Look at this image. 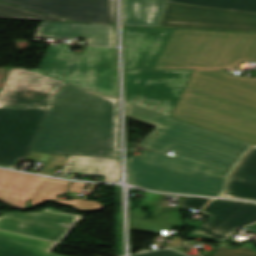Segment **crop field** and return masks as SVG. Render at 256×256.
<instances>
[{"label": "crop field", "mask_w": 256, "mask_h": 256, "mask_svg": "<svg viewBox=\"0 0 256 256\" xmlns=\"http://www.w3.org/2000/svg\"><path fill=\"white\" fill-rule=\"evenodd\" d=\"M256 62V34L175 30L155 69H194L171 118L256 145V78L233 76Z\"/></svg>", "instance_id": "crop-field-1"}, {"label": "crop field", "mask_w": 256, "mask_h": 256, "mask_svg": "<svg viewBox=\"0 0 256 256\" xmlns=\"http://www.w3.org/2000/svg\"><path fill=\"white\" fill-rule=\"evenodd\" d=\"M126 117L156 127L130 156L128 183L155 191L223 197L229 174L252 145L126 103Z\"/></svg>", "instance_id": "crop-field-2"}, {"label": "crop field", "mask_w": 256, "mask_h": 256, "mask_svg": "<svg viewBox=\"0 0 256 256\" xmlns=\"http://www.w3.org/2000/svg\"><path fill=\"white\" fill-rule=\"evenodd\" d=\"M30 152L119 158L117 100L64 83Z\"/></svg>", "instance_id": "crop-field-3"}, {"label": "crop field", "mask_w": 256, "mask_h": 256, "mask_svg": "<svg viewBox=\"0 0 256 256\" xmlns=\"http://www.w3.org/2000/svg\"><path fill=\"white\" fill-rule=\"evenodd\" d=\"M174 30L124 27L127 103L170 116L192 70H153Z\"/></svg>", "instance_id": "crop-field-4"}, {"label": "crop field", "mask_w": 256, "mask_h": 256, "mask_svg": "<svg viewBox=\"0 0 256 256\" xmlns=\"http://www.w3.org/2000/svg\"><path fill=\"white\" fill-rule=\"evenodd\" d=\"M68 50L67 44L50 45L38 69L29 71L117 99L115 48Z\"/></svg>", "instance_id": "crop-field-5"}, {"label": "crop field", "mask_w": 256, "mask_h": 256, "mask_svg": "<svg viewBox=\"0 0 256 256\" xmlns=\"http://www.w3.org/2000/svg\"><path fill=\"white\" fill-rule=\"evenodd\" d=\"M50 109L0 107V166L26 160Z\"/></svg>", "instance_id": "crop-field-6"}, {"label": "crop field", "mask_w": 256, "mask_h": 256, "mask_svg": "<svg viewBox=\"0 0 256 256\" xmlns=\"http://www.w3.org/2000/svg\"><path fill=\"white\" fill-rule=\"evenodd\" d=\"M158 27L256 32V14L167 2Z\"/></svg>", "instance_id": "crop-field-7"}, {"label": "crop field", "mask_w": 256, "mask_h": 256, "mask_svg": "<svg viewBox=\"0 0 256 256\" xmlns=\"http://www.w3.org/2000/svg\"><path fill=\"white\" fill-rule=\"evenodd\" d=\"M63 83L23 69H11L0 106L51 108Z\"/></svg>", "instance_id": "crop-field-8"}, {"label": "crop field", "mask_w": 256, "mask_h": 256, "mask_svg": "<svg viewBox=\"0 0 256 256\" xmlns=\"http://www.w3.org/2000/svg\"><path fill=\"white\" fill-rule=\"evenodd\" d=\"M82 217L52 208L34 213L10 212L0 216V229L60 242Z\"/></svg>", "instance_id": "crop-field-9"}, {"label": "crop field", "mask_w": 256, "mask_h": 256, "mask_svg": "<svg viewBox=\"0 0 256 256\" xmlns=\"http://www.w3.org/2000/svg\"><path fill=\"white\" fill-rule=\"evenodd\" d=\"M19 7L90 23L115 24L114 0H0Z\"/></svg>", "instance_id": "crop-field-10"}, {"label": "crop field", "mask_w": 256, "mask_h": 256, "mask_svg": "<svg viewBox=\"0 0 256 256\" xmlns=\"http://www.w3.org/2000/svg\"><path fill=\"white\" fill-rule=\"evenodd\" d=\"M199 214L211 217L193 234L226 240L244 225L256 221V203L215 199Z\"/></svg>", "instance_id": "crop-field-11"}, {"label": "crop field", "mask_w": 256, "mask_h": 256, "mask_svg": "<svg viewBox=\"0 0 256 256\" xmlns=\"http://www.w3.org/2000/svg\"><path fill=\"white\" fill-rule=\"evenodd\" d=\"M34 37L85 38L88 45L115 46L114 26L41 22Z\"/></svg>", "instance_id": "crop-field-12"}, {"label": "crop field", "mask_w": 256, "mask_h": 256, "mask_svg": "<svg viewBox=\"0 0 256 256\" xmlns=\"http://www.w3.org/2000/svg\"><path fill=\"white\" fill-rule=\"evenodd\" d=\"M224 197L256 200V146L231 173Z\"/></svg>", "instance_id": "crop-field-13"}, {"label": "crop field", "mask_w": 256, "mask_h": 256, "mask_svg": "<svg viewBox=\"0 0 256 256\" xmlns=\"http://www.w3.org/2000/svg\"><path fill=\"white\" fill-rule=\"evenodd\" d=\"M70 172L105 176L103 181H119V159L69 156L59 177L68 178Z\"/></svg>", "instance_id": "crop-field-14"}, {"label": "crop field", "mask_w": 256, "mask_h": 256, "mask_svg": "<svg viewBox=\"0 0 256 256\" xmlns=\"http://www.w3.org/2000/svg\"><path fill=\"white\" fill-rule=\"evenodd\" d=\"M166 0H122L124 25L157 27Z\"/></svg>", "instance_id": "crop-field-15"}, {"label": "crop field", "mask_w": 256, "mask_h": 256, "mask_svg": "<svg viewBox=\"0 0 256 256\" xmlns=\"http://www.w3.org/2000/svg\"><path fill=\"white\" fill-rule=\"evenodd\" d=\"M57 244L0 232V256H62L49 252Z\"/></svg>", "instance_id": "crop-field-16"}, {"label": "crop field", "mask_w": 256, "mask_h": 256, "mask_svg": "<svg viewBox=\"0 0 256 256\" xmlns=\"http://www.w3.org/2000/svg\"><path fill=\"white\" fill-rule=\"evenodd\" d=\"M68 186L69 182L67 181L43 178L34 195L32 196L30 200L31 204L29 206L37 205L48 199L56 200L61 204L70 205L79 211H93L103 206L101 203L96 201L78 199H74L72 201H63L56 199L57 195L66 192Z\"/></svg>", "instance_id": "crop-field-17"}, {"label": "crop field", "mask_w": 256, "mask_h": 256, "mask_svg": "<svg viewBox=\"0 0 256 256\" xmlns=\"http://www.w3.org/2000/svg\"><path fill=\"white\" fill-rule=\"evenodd\" d=\"M41 177L0 170V195L29 201Z\"/></svg>", "instance_id": "crop-field-18"}, {"label": "crop field", "mask_w": 256, "mask_h": 256, "mask_svg": "<svg viewBox=\"0 0 256 256\" xmlns=\"http://www.w3.org/2000/svg\"><path fill=\"white\" fill-rule=\"evenodd\" d=\"M170 2L256 13V0H167Z\"/></svg>", "instance_id": "crop-field-19"}, {"label": "crop field", "mask_w": 256, "mask_h": 256, "mask_svg": "<svg viewBox=\"0 0 256 256\" xmlns=\"http://www.w3.org/2000/svg\"><path fill=\"white\" fill-rule=\"evenodd\" d=\"M0 18L7 19H27V20H48V21H68L41 13L29 11L15 6L0 3ZM72 22V21H68Z\"/></svg>", "instance_id": "crop-field-20"}, {"label": "crop field", "mask_w": 256, "mask_h": 256, "mask_svg": "<svg viewBox=\"0 0 256 256\" xmlns=\"http://www.w3.org/2000/svg\"><path fill=\"white\" fill-rule=\"evenodd\" d=\"M246 244L239 249L232 250L227 248L225 243H220L212 256H256V253L250 250L252 243H248L250 244L249 246Z\"/></svg>", "instance_id": "crop-field-21"}, {"label": "crop field", "mask_w": 256, "mask_h": 256, "mask_svg": "<svg viewBox=\"0 0 256 256\" xmlns=\"http://www.w3.org/2000/svg\"><path fill=\"white\" fill-rule=\"evenodd\" d=\"M210 199L206 198H194L187 197L186 200L181 204L182 208H192L199 210L204 204H206Z\"/></svg>", "instance_id": "crop-field-22"}, {"label": "crop field", "mask_w": 256, "mask_h": 256, "mask_svg": "<svg viewBox=\"0 0 256 256\" xmlns=\"http://www.w3.org/2000/svg\"><path fill=\"white\" fill-rule=\"evenodd\" d=\"M133 256H182V255H180L172 250L166 249V250H162V251L138 254V255H133Z\"/></svg>", "instance_id": "crop-field-23"}, {"label": "crop field", "mask_w": 256, "mask_h": 256, "mask_svg": "<svg viewBox=\"0 0 256 256\" xmlns=\"http://www.w3.org/2000/svg\"><path fill=\"white\" fill-rule=\"evenodd\" d=\"M0 200L9 204V205L16 206V207H19V208L26 207V205L28 203L26 201L16 200V199L2 197V196H0Z\"/></svg>", "instance_id": "crop-field-24"}]
</instances>
